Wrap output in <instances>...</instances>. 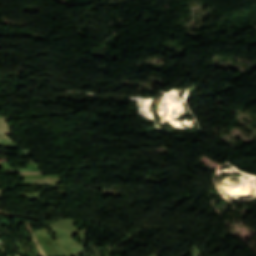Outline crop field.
<instances>
[{
    "mask_svg": "<svg viewBox=\"0 0 256 256\" xmlns=\"http://www.w3.org/2000/svg\"><path fill=\"white\" fill-rule=\"evenodd\" d=\"M20 175H24V174H42L41 172H19Z\"/></svg>",
    "mask_w": 256,
    "mask_h": 256,
    "instance_id": "obj_6",
    "label": "crop field"
},
{
    "mask_svg": "<svg viewBox=\"0 0 256 256\" xmlns=\"http://www.w3.org/2000/svg\"><path fill=\"white\" fill-rule=\"evenodd\" d=\"M4 198L3 196L0 195V199Z\"/></svg>",
    "mask_w": 256,
    "mask_h": 256,
    "instance_id": "obj_8",
    "label": "crop field"
},
{
    "mask_svg": "<svg viewBox=\"0 0 256 256\" xmlns=\"http://www.w3.org/2000/svg\"><path fill=\"white\" fill-rule=\"evenodd\" d=\"M18 185H45L52 184L46 179H25L24 182H18Z\"/></svg>",
    "mask_w": 256,
    "mask_h": 256,
    "instance_id": "obj_1",
    "label": "crop field"
},
{
    "mask_svg": "<svg viewBox=\"0 0 256 256\" xmlns=\"http://www.w3.org/2000/svg\"><path fill=\"white\" fill-rule=\"evenodd\" d=\"M0 141H10L9 139H0Z\"/></svg>",
    "mask_w": 256,
    "mask_h": 256,
    "instance_id": "obj_7",
    "label": "crop field"
},
{
    "mask_svg": "<svg viewBox=\"0 0 256 256\" xmlns=\"http://www.w3.org/2000/svg\"><path fill=\"white\" fill-rule=\"evenodd\" d=\"M26 227H27L28 232L31 234V236H32V238H33V240H34V242H35V244H36V246H37L41 256H46V254L44 253V251H43V249H42V247H41V245H40V243H39V241H38V239H37V237H36L32 227L29 224V222L26 223Z\"/></svg>",
    "mask_w": 256,
    "mask_h": 256,
    "instance_id": "obj_2",
    "label": "crop field"
},
{
    "mask_svg": "<svg viewBox=\"0 0 256 256\" xmlns=\"http://www.w3.org/2000/svg\"><path fill=\"white\" fill-rule=\"evenodd\" d=\"M72 248V251L73 253L78 256V253H80V255H85V251H84V245H81V246H74V247H71Z\"/></svg>",
    "mask_w": 256,
    "mask_h": 256,
    "instance_id": "obj_4",
    "label": "crop field"
},
{
    "mask_svg": "<svg viewBox=\"0 0 256 256\" xmlns=\"http://www.w3.org/2000/svg\"><path fill=\"white\" fill-rule=\"evenodd\" d=\"M50 227L53 228L54 231H58V232H62V233L70 234V235L75 234V232H71V231H68V230L53 226V225H51Z\"/></svg>",
    "mask_w": 256,
    "mask_h": 256,
    "instance_id": "obj_5",
    "label": "crop field"
},
{
    "mask_svg": "<svg viewBox=\"0 0 256 256\" xmlns=\"http://www.w3.org/2000/svg\"><path fill=\"white\" fill-rule=\"evenodd\" d=\"M1 190V189H0Z\"/></svg>",
    "mask_w": 256,
    "mask_h": 256,
    "instance_id": "obj_9",
    "label": "crop field"
},
{
    "mask_svg": "<svg viewBox=\"0 0 256 256\" xmlns=\"http://www.w3.org/2000/svg\"><path fill=\"white\" fill-rule=\"evenodd\" d=\"M0 132H2L3 134H13L8 128L7 118L0 119Z\"/></svg>",
    "mask_w": 256,
    "mask_h": 256,
    "instance_id": "obj_3",
    "label": "crop field"
}]
</instances>
